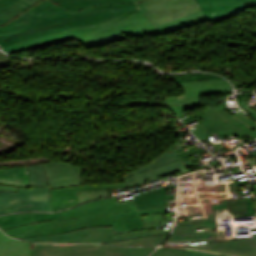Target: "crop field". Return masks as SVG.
I'll use <instances>...</instances> for the list:
<instances>
[{
  "instance_id": "obj_1",
  "label": "crop field",
  "mask_w": 256,
  "mask_h": 256,
  "mask_svg": "<svg viewBox=\"0 0 256 256\" xmlns=\"http://www.w3.org/2000/svg\"><path fill=\"white\" fill-rule=\"evenodd\" d=\"M165 208L138 211L133 201L118 204L115 197L56 213L0 216V228L19 239L69 232L93 226H113L114 232L145 228L139 215L163 213Z\"/></svg>"
},
{
  "instance_id": "obj_2",
  "label": "crop field",
  "mask_w": 256,
  "mask_h": 256,
  "mask_svg": "<svg viewBox=\"0 0 256 256\" xmlns=\"http://www.w3.org/2000/svg\"><path fill=\"white\" fill-rule=\"evenodd\" d=\"M136 6V4L96 6L73 14L49 0H44L26 13L21 12L0 26V47L11 46L79 26L88 27L113 19ZM38 13L41 14L38 15Z\"/></svg>"
},
{
  "instance_id": "obj_3",
  "label": "crop field",
  "mask_w": 256,
  "mask_h": 256,
  "mask_svg": "<svg viewBox=\"0 0 256 256\" xmlns=\"http://www.w3.org/2000/svg\"><path fill=\"white\" fill-rule=\"evenodd\" d=\"M44 167L50 185L51 207L54 211L78 205L76 192L127 187L125 183L80 187L84 169L57 161L46 162Z\"/></svg>"
},
{
  "instance_id": "obj_4",
  "label": "crop field",
  "mask_w": 256,
  "mask_h": 256,
  "mask_svg": "<svg viewBox=\"0 0 256 256\" xmlns=\"http://www.w3.org/2000/svg\"><path fill=\"white\" fill-rule=\"evenodd\" d=\"M195 119L200 124L192 132L200 141L208 139V136L215 133L218 134L219 138L230 135L242 138L250 134L256 139V123L241 111L231 116L220 106L216 109H207L193 116L186 117L182 121L186 124Z\"/></svg>"
},
{
  "instance_id": "obj_5",
  "label": "crop field",
  "mask_w": 256,
  "mask_h": 256,
  "mask_svg": "<svg viewBox=\"0 0 256 256\" xmlns=\"http://www.w3.org/2000/svg\"><path fill=\"white\" fill-rule=\"evenodd\" d=\"M30 184L49 186L43 163L28 166ZM18 211H52L49 187L19 188L18 193L0 192V214Z\"/></svg>"
},
{
  "instance_id": "obj_6",
  "label": "crop field",
  "mask_w": 256,
  "mask_h": 256,
  "mask_svg": "<svg viewBox=\"0 0 256 256\" xmlns=\"http://www.w3.org/2000/svg\"><path fill=\"white\" fill-rule=\"evenodd\" d=\"M160 33L140 10L113 26L76 38L88 49L135 36Z\"/></svg>"
},
{
  "instance_id": "obj_7",
  "label": "crop field",
  "mask_w": 256,
  "mask_h": 256,
  "mask_svg": "<svg viewBox=\"0 0 256 256\" xmlns=\"http://www.w3.org/2000/svg\"><path fill=\"white\" fill-rule=\"evenodd\" d=\"M213 228H216L213 214H210L209 218L206 219L178 222L176 223L172 234L163 246L180 247L214 241H226V239L222 237L223 233H214L212 231ZM245 238L249 237H237L235 239Z\"/></svg>"
},
{
  "instance_id": "obj_8",
  "label": "crop field",
  "mask_w": 256,
  "mask_h": 256,
  "mask_svg": "<svg viewBox=\"0 0 256 256\" xmlns=\"http://www.w3.org/2000/svg\"><path fill=\"white\" fill-rule=\"evenodd\" d=\"M179 84L182 86L184 96L167 97V107L180 118L185 117L181 112L199 105V95L232 92L227 80L195 81Z\"/></svg>"
},
{
  "instance_id": "obj_9",
  "label": "crop field",
  "mask_w": 256,
  "mask_h": 256,
  "mask_svg": "<svg viewBox=\"0 0 256 256\" xmlns=\"http://www.w3.org/2000/svg\"><path fill=\"white\" fill-rule=\"evenodd\" d=\"M138 5L156 26L200 10L195 0H147Z\"/></svg>"
},
{
  "instance_id": "obj_10",
  "label": "crop field",
  "mask_w": 256,
  "mask_h": 256,
  "mask_svg": "<svg viewBox=\"0 0 256 256\" xmlns=\"http://www.w3.org/2000/svg\"><path fill=\"white\" fill-rule=\"evenodd\" d=\"M174 171L187 172L182 162L169 149L157 160L150 163L148 166L140 168L136 171H131L124 178L128 187L142 184L148 179L161 178L174 173Z\"/></svg>"
},
{
  "instance_id": "obj_11",
  "label": "crop field",
  "mask_w": 256,
  "mask_h": 256,
  "mask_svg": "<svg viewBox=\"0 0 256 256\" xmlns=\"http://www.w3.org/2000/svg\"><path fill=\"white\" fill-rule=\"evenodd\" d=\"M168 230H153L125 235L114 236L112 227H93L74 232L66 233L67 242H83V243H107L119 240L139 238L151 235L168 234Z\"/></svg>"
},
{
  "instance_id": "obj_12",
  "label": "crop field",
  "mask_w": 256,
  "mask_h": 256,
  "mask_svg": "<svg viewBox=\"0 0 256 256\" xmlns=\"http://www.w3.org/2000/svg\"><path fill=\"white\" fill-rule=\"evenodd\" d=\"M137 10H139L138 6L134 9L130 10L129 12L123 14L122 16H120V17H118L114 20H111V21L103 22V23H100V24H97V25H94L92 27L85 28V29H82L81 27H79V28L72 29V30H69V31H66V32L58 33V34H55V35H51V36L36 39V40H33V41L25 42V43H22V44H18V45H14V46H11V47L3 48V50L8 52L9 54H12V53H15V52L25 51V50L40 47V46H43V45H47V44H53V43H58V42L66 41V40H69V39H73V38H76L78 36L84 35L86 33L109 27V26L113 25L115 22L127 17L128 15L134 13Z\"/></svg>"
},
{
  "instance_id": "obj_13",
  "label": "crop field",
  "mask_w": 256,
  "mask_h": 256,
  "mask_svg": "<svg viewBox=\"0 0 256 256\" xmlns=\"http://www.w3.org/2000/svg\"><path fill=\"white\" fill-rule=\"evenodd\" d=\"M210 24L216 23L246 7L255 6L256 0H196ZM215 12V15H212Z\"/></svg>"
},
{
  "instance_id": "obj_14",
  "label": "crop field",
  "mask_w": 256,
  "mask_h": 256,
  "mask_svg": "<svg viewBox=\"0 0 256 256\" xmlns=\"http://www.w3.org/2000/svg\"><path fill=\"white\" fill-rule=\"evenodd\" d=\"M102 245L34 244L33 256H101Z\"/></svg>"
},
{
  "instance_id": "obj_15",
  "label": "crop field",
  "mask_w": 256,
  "mask_h": 256,
  "mask_svg": "<svg viewBox=\"0 0 256 256\" xmlns=\"http://www.w3.org/2000/svg\"><path fill=\"white\" fill-rule=\"evenodd\" d=\"M181 248L220 252L238 256H256V239L231 240Z\"/></svg>"
},
{
  "instance_id": "obj_16",
  "label": "crop field",
  "mask_w": 256,
  "mask_h": 256,
  "mask_svg": "<svg viewBox=\"0 0 256 256\" xmlns=\"http://www.w3.org/2000/svg\"><path fill=\"white\" fill-rule=\"evenodd\" d=\"M176 185L164 186L134 197L139 210L165 207V199H175V196L165 195V187L174 188Z\"/></svg>"
},
{
  "instance_id": "obj_17",
  "label": "crop field",
  "mask_w": 256,
  "mask_h": 256,
  "mask_svg": "<svg viewBox=\"0 0 256 256\" xmlns=\"http://www.w3.org/2000/svg\"><path fill=\"white\" fill-rule=\"evenodd\" d=\"M33 244L7 237L0 230V256H31Z\"/></svg>"
},
{
  "instance_id": "obj_18",
  "label": "crop field",
  "mask_w": 256,
  "mask_h": 256,
  "mask_svg": "<svg viewBox=\"0 0 256 256\" xmlns=\"http://www.w3.org/2000/svg\"><path fill=\"white\" fill-rule=\"evenodd\" d=\"M26 167L0 169V184L15 185L17 187H30L29 175Z\"/></svg>"
},
{
  "instance_id": "obj_19",
  "label": "crop field",
  "mask_w": 256,
  "mask_h": 256,
  "mask_svg": "<svg viewBox=\"0 0 256 256\" xmlns=\"http://www.w3.org/2000/svg\"><path fill=\"white\" fill-rule=\"evenodd\" d=\"M39 0H0V25Z\"/></svg>"
},
{
  "instance_id": "obj_20",
  "label": "crop field",
  "mask_w": 256,
  "mask_h": 256,
  "mask_svg": "<svg viewBox=\"0 0 256 256\" xmlns=\"http://www.w3.org/2000/svg\"><path fill=\"white\" fill-rule=\"evenodd\" d=\"M58 4L59 6L71 11L76 12L81 9H85L87 7L96 6V5H104V4H119L126 3L132 4L134 3L132 0H51Z\"/></svg>"
},
{
  "instance_id": "obj_21",
  "label": "crop field",
  "mask_w": 256,
  "mask_h": 256,
  "mask_svg": "<svg viewBox=\"0 0 256 256\" xmlns=\"http://www.w3.org/2000/svg\"><path fill=\"white\" fill-rule=\"evenodd\" d=\"M207 19L204 17L202 11H198L195 13H192L190 15L184 16L182 18L176 19L174 21L168 22L166 24L158 26L160 31L165 34L167 32H171L174 30H178L181 28H185L188 26H192L195 24H199L202 22H206Z\"/></svg>"
},
{
  "instance_id": "obj_22",
  "label": "crop field",
  "mask_w": 256,
  "mask_h": 256,
  "mask_svg": "<svg viewBox=\"0 0 256 256\" xmlns=\"http://www.w3.org/2000/svg\"><path fill=\"white\" fill-rule=\"evenodd\" d=\"M156 248L103 245L102 256H148Z\"/></svg>"
},
{
  "instance_id": "obj_23",
  "label": "crop field",
  "mask_w": 256,
  "mask_h": 256,
  "mask_svg": "<svg viewBox=\"0 0 256 256\" xmlns=\"http://www.w3.org/2000/svg\"><path fill=\"white\" fill-rule=\"evenodd\" d=\"M213 210L217 208H229L230 212L234 215V217H245V216H254V205L253 200H244L229 204L215 205L212 206Z\"/></svg>"
},
{
  "instance_id": "obj_24",
  "label": "crop field",
  "mask_w": 256,
  "mask_h": 256,
  "mask_svg": "<svg viewBox=\"0 0 256 256\" xmlns=\"http://www.w3.org/2000/svg\"><path fill=\"white\" fill-rule=\"evenodd\" d=\"M166 237L167 235L151 236L139 239L113 242L110 244H116L121 246H159L166 239Z\"/></svg>"
},
{
  "instance_id": "obj_25",
  "label": "crop field",
  "mask_w": 256,
  "mask_h": 256,
  "mask_svg": "<svg viewBox=\"0 0 256 256\" xmlns=\"http://www.w3.org/2000/svg\"><path fill=\"white\" fill-rule=\"evenodd\" d=\"M174 81L178 82H186V81H195V80H217L223 79L219 76L208 74V73H191V74H180V75H172Z\"/></svg>"
},
{
  "instance_id": "obj_26",
  "label": "crop field",
  "mask_w": 256,
  "mask_h": 256,
  "mask_svg": "<svg viewBox=\"0 0 256 256\" xmlns=\"http://www.w3.org/2000/svg\"><path fill=\"white\" fill-rule=\"evenodd\" d=\"M187 250L159 247L150 256H184Z\"/></svg>"
},
{
  "instance_id": "obj_27",
  "label": "crop field",
  "mask_w": 256,
  "mask_h": 256,
  "mask_svg": "<svg viewBox=\"0 0 256 256\" xmlns=\"http://www.w3.org/2000/svg\"><path fill=\"white\" fill-rule=\"evenodd\" d=\"M23 240L32 242H66L65 233Z\"/></svg>"
},
{
  "instance_id": "obj_28",
  "label": "crop field",
  "mask_w": 256,
  "mask_h": 256,
  "mask_svg": "<svg viewBox=\"0 0 256 256\" xmlns=\"http://www.w3.org/2000/svg\"><path fill=\"white\" fill-rule=\"evenodd\" d=\"M196 67H197L196 70L200 69V70L215 71V72H219L223 75L228 76L230 79L232 77V72H231L230 68H203V66H196ZM191 70H194V69H191ZM224 70H227V72H225ZM233 84H234L235 88H239V87L243 86L242 83H238L236 81H233Z\"/></svg>"
},
{
  "instance_id": "obj_29",
  "label": "crop field",
  "mask_w": 256,
  "mask_h": 256,
  "mask_svg": "<svg viewBox=\"0 0 256 256\" xmlns=\"http://www.w3.org/2000/svg\"><path fill=\"white\" fill-rule=\"evenodd\" d=\"M240 106L243 107L254 119H256V112H254L249 106L245 104V101L241 94H237Z\"/></svg>"
},
{
  "instance_id": "obj_30",
  "label": "crop field",
  "mask_w": 256,
  "mask_h": 256,
  "mask_svg": "<svg viewBox=\"0 0 256 256\" xmlns=\"http://www.w3.org/2000/svg\"><path fill=\"white\" fill-rule=\"evenodd\" d=\"M218 255L219 254H216V253L188 250L185 256H218Z\"/></svg>"
},
{
  "instance_id": "obj_31",
  "label": "crop field",
  "mask_w": 256,
  "mask_h": 256,
  "mask_svg": "<svg viewBox=\"0 0 256 256\" xmlns=\"http://www.w3.org/2000/svg\"><path fill=\"white\" fill-rule=\"evenodd\" d=\"M10 57L0 52V68L9 66Z\"/></svg>"
},
{
  "instance_id": "obj_32",
  "label": "crop field",
  "mask_w": 256,
  "mask_h": 256,
  "mask_svg": "<svg viewBox=\"0 0 256 256\" xmlns=\"http://www.w3.org/2000/svg\"><path fill=\"white\" fill-rule=\"evenodd\" d=\"M254 186V189H255V192H256V185H253Z\"/></svg>"
},
{
  "instance_id": "obj_33",
  "label": "crop field",
  "mask_w": 256,
  "mask_h": 256,
  "mask_svg": "<svg viewBox=\"0 0 256 256\" xmlns=\"http://www.w3.org/2000/svg\"><path fill=\"white\" fill-rule=\"evenodd\" d=\"M135 2L141 1V0H134Z\"/></svg>"
}]
</instances>
